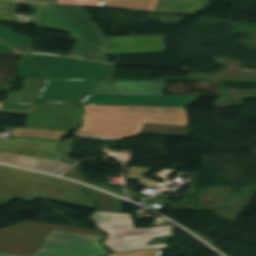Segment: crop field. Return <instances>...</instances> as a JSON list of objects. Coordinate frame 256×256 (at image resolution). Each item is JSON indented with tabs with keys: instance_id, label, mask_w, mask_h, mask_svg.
I'll return each instance as SVG.
<instances>
[{
	"instance_id": "4",
	"label": "crop field",
	"mask_w": 256,
	"mask_h": 256,
	"mask_svg": "<svg viewBox=\"0 0 256 256\" xmlns=\"http://www.w3.org/2000/svg\"><path fill=\"white\" fill-rule=\"evenodd\" d=\"M91 219L108 233L103 242L114 252L167 247L166 244L147 245L153 238L173 236L174 225L135 229L131 216L124 213L96 211Z\"/></svg>"
},
{
	"instance_id": "10",
	"label": "crop field",
	"mask_w": 256,
	"mask_h": 256,
	"mask_svg": "<svg viewBox=\"0 0 256 256\" xmlns=\"http://www.w3.org/2000/svg\"><path fill=\"white\" fill-rule=\"evenodd\" d=\"M107 55L166 52L165 35L110 38Z\"/></svg>"
},
{
	"instance_id": "24",
	"label": "crop field",
	"mask_w": 256,
	"mask_h": 256,
	"mask_svg": "<svg viewBox=\"0 0 256 256\" xmlns=\"http://www.w3.org/2000/svg\"><path fill=\"white\" fill-rule=\"evenodd\" d=\"M77 170H78V168L74 167L73 169H71L69 172H67L63 176L71 178V179H74V180H78V181L87 183V179H85L81 174H79L78 173L79 171L77 172Z\"/></svg>"
},
{
	"instance_id": "1",
	"label": "crop field",
	"mask_w": 256,
	"mask_h": 256,
	"mask_svg": "<svg viewBox=\"0 0 256 256\" xmlns=\"http://www.w3.org/2000/svg\"><path fill=\"white\" fill-rule=\"evenodd\" d=\"M102 238L103 233L96 230L25 221L0 230V252L24 256H100L108 253L99 244Z\"/></svg>"
},
{
	"instance_id": "25",
	"label": "crop field",
	"mask_w": 256,
	"mask_h": 256,
	"mask_svg": "<svg viewBox=\"0 0 256 256\" xmlns=\"http://www.w3.org/2000/svg\"><path fill=\"white\" fill-rule=\"evenodd\" d=\"M58 2H65V3H78V4H92L98 5L100 0H57Z\"/></svg>"
},
{
	"instance_id": "13",
	"label": "crop field",
	"mask_w": 256,
	"mask_h": 256,
	"mask_svg": "<svg viewBox=\"0 0 256 256\" xmlns=\"http://www.w3.org/2000/svg\"><path fill=\"white\" fill-rule=\"evenodd\" d=\"M47 79H23V89L8 92L3 103L34 104Z\"/></svg>"
},
{
	"instance_id": "11",
	"label": "crop field",
	"mask_w": 256,
	"mask_h": 256,
	"mask_svg": "<svg viewBox=\"0 0 256 256\" xmlns=\"http://www.w3.org/2000/svg\"><path fill=\"white\" fill-rule=\"evenodd\" d=\"M167 82L99 80L91 94L161 95Z\"/></svg>"
},
{
	"instance_id": "3",
	"label": "crop field",
	"mask_w": 256,
	"mask_h": 256,
	"mask_svg": "<svg viewBox=\"0 0 256 256\" xmlns=\"http://www.w3.org/2000/svg\"><path fill=\"white\" fill-rule=\"evenodd\" d=\"M37 26L72 32L79 40L71 56L108 62L103 52L109 42L81 7L48 3Z\"/></svg>"
},
{
	"instance_id": "29",
	"label": "crop field",
	"mask_w": 256,
	"mask_h": 256,
	"mask_svg": "<svg viewBox=\"0 0 256 256\" xmlns=\"http://www.w3.org/2000/svg\"><path fill=\"white\" fill-rule=\"evenodd\" d=\"M113 65L110 64V68L108 70L107 76L105 79H112Z\"/></svg>"
},
{
	"instance_id": "18",
	"label": "crop field",
	"mask_w": 256,
	"mask_h": 256,
	"mask_svg": "<svg viewBox=\"0 0 256 256\" xmlns=\"http://www.w3.org/2000/svg\"><path fill=\"white\" fill-rule=\"evenodd\" d=\"M67 131L15 128L12 137L59 140Z\"/></svg>"
},
{
	"instance_id": "27",
	"label": "crop field",
	"mask_w": 256,
	"mask_h": 256,
	"mask_svg": "<svg viewBox=\"0 0 256 256\" xmlns=\"http://www.w3.org/2000/svg\"><path fill=\"white\" fill-rule=\"evenodd\" d=\"M14 51H15V50H14L13 47L8 46V45H6V44L0 42V52L12 53V52H14Z\"/></svg>"
},
{
	"instance_id": "7",
	"label": "crop field",
	"mask_w": 256,
	"mask_h": 256,
	"mask_svg": "<svg viewBox=\"0 0 256 256\" xmlns=\"http://www.w3.org/2000/svg\"><path fill=\"white\" fill-rule=\"evenodd\" d=\"M85 111L147 115L146 123L187 126L184 108L84 105Z\"/></svg>"
},
{
	"instance_id": "5",
	"label": "crop field",
	"mask_w": 256,
	"mask_h": 256,
	"mask_svg": "<svg viewBox=\"0 0 256 256\" xmlns=\"http://www.w3.org/2000/svg\"><path fill=\"white\" fill-rule=\"evenodd\" d=\"M22 55L18 61L20 78L99 79L108 65L58 55Z\"/></svg>"
},
{
	"instance_id": "22",
	"label": "crop field",
	"mask_w": 256,
	"mask_h": 256,
	"mask_svg": "<svg viewBox=\"0 0 256 256\" xmlns=\"http://www.w3.org/2000/svg\"><path fill=\"white\" fill-rule=\"evenodd\" d=\"M71 164L70 162L61 163L40 159L35 169L57 174Z\"/></svg>"
},
{
	"instance_id": "14",
	"label": "crop field",
	"mask_w": 256,
	"mask_h": 256,
	"mask_svg": "<svg viewBox=\"0 0 256 256\" xmlns=\"http://www.w3.org/2000/svg\"><path fill=\"white\" fill-rule=\"evenodd\" d=\"M209 5V0H161L156 11L194 14Z\"/></svg>"
},
{
	"instance_id": "6",
	"label": "crop field",
	"mask_w": 256,
	"mask_h": 256,
	"mask_svg": "<svg viewBox=\"0 0 256 256\" xmlns=\"http://www.w3.org/2000/svg\"><path fill=\"white\" fill-rule=\"evenodd\" d=\"M145 117L85 112L74 136L121 140L140 134Z\"/></svg>"
},
{
	"instance_id": "17",
	"label": "crop field",
	"mask_w": 256,
	"mask_h": 256,
	"mask_svg": "<svg viewBox=\"0 0 256 256\" xmlns=\"http://www.w3.org/2000/svg\"><path fill=\"white\" fill-rule=\"evenodd\" d=\"M198 176H199V173L193 172L190 189H189L188 193L186 195H184L180 204L171 202V201H167V199L170 198V196L165 195V194H159L151 199L171 205L172 208L170 210H190L191 203H192V197H193L194 189L196 187V181L198 179Z\"/></svg>"
},
{
	"instance_id": "21",
	"label": "crop field",
	"mask_w": 256,
	"mask_h": 256,
	"mask_svg": "<svg viewBox=\"0 0 256 256\" xmlns=\"http://www.w3.org/2000/svg\"><path fill=\"white\" fill-rule=\"evenodd\" d=\"M39 159L0 153V162L34 169Z\"/></svg>"
},
{
	"instance_id": "31",
	"label": "crop field",
	"mask_w": 256,
	"mask_h": 256,
	"mask_svg": "<svg viewBox=\"0 0 256 256\" xmlns=\"http://www.w3.org/2000/svg\"><path fill=\"white\" fill-rule=\"evenodd\" d=\"M36 1H49V2H54V0H36Z\"/></svg>"
},
{
	"instance_id": "9",
	"label": "crop field",
	"mask_w": 256,
	"mask_h": 256,
	"mask_svg": "<svg viewBox=\"0 0 256 256\" xmlns=\"http://www.w3.org/2000/svg\"><path fill=\"white\" fill-rule=\"evenodd\" d=\"M97 80L48 79L37 102H76L85 97Z\"/></svg>"
},
{
	"instance_id": "2",
	"label": "crop field",
	"mask_w": 256,
	"mask_h": 256,
	"mask_svg": "<svg viewBox=\"0 0 256 256\" xmlns=\"http://www.w3.org/2000/svg\"><path fill=\"white\" fill-rule=\"evenodd\" d=\"M82 185L0 165V204L13 198L32 202L39 198L93 209L95 203L80 194Z\"/></svg>"
},
{
	"instance_id": "20",
	"label": "crop field",
	"mask_w": 256,
	"mask_h": 256,
	"mask_svg": "<svg viewBox=\"0 0 256 256\" xmlns=\"http://www.w3.org/2000/svg\"><path fill=\"white\" fill-rule=\"evenodd\" d=\"M0 41L23 51H34L29 38L14 34L7 28L0 26Z\"/></svg>"
},
{
	"instance_id": "26",
	"label": "crop field",
	"mask_w": 256,
	"mask_h": 256,
	"mask_svg": "<svg viewBox=\"0 0 256 256\" xmlns=\"http://www.w3.org/2000/svg\"><path fill=\"white\" fill-rule=\"evenodd\" d=\"M36 106H77L76 103H37Z\"/></svg>"
},
{
	"instance_id": "8",
	"label": "crop field",
	"mask_w": 256,
	"mask_h": 256,
	"mask_svg": "<svg viewBox=\"0 0 256 256\" xmlns=\"http://www.w3.org/2000/svg\"><path fill=\"white\" fill-rule=\"evenodd\" d=\"M199 98L183 96L89 95L79 103L185 107Z\"/></svg>"
},
{
	"instance_id": "28",
	"label": "crop field",
	"mask_w": 256,
	"mask_h": 256,
	"mask_svg": "<svg viewBox=\"0 0 256 256\" xmlns=\"http://www.w3.org/2000/svg\"><path fill=\"white\" fill-rule=\"evenodd\" d=\"M69 145H70V142H61L59 147H58V151L63 152V153H67Z\"/></svg>"
},
{
	"instance_id": "23",
	"label": "crop field",
	"mask_w": 256,
	"mask_h": 256,
	"mask_svg": "<svg viewBox=\"0 0 256 256\" xmlns=\"http://www.w3.org/2000/svg\"><path fill=\"white\" fill-rule=\"evenodd\" d=\"M160 249L113 253L109 256H159Z\"/></svg>"
},
{
	"instance_id": "15",
	"label": "crop field",
	"mask_w": 256,
	"mask_h": 256,
	"mask_svg": "<svg viewBox=\"0 0 256 256\" xmlns=\"http://www.w3.org/2000/svg\"><path fill=\"white\" fill-rule=\"evenodd\" d=\"M160 0H101L99 6L155 11Z\"/></svg>"
},
{
	"instance_id": "30",
	"label": "crop field",
	"mask_w": 256,
	"mask_h": 256,
	"mask_svg": "<svg viewBox=\"0 0 256 256\" xmlns=\"http://www.w3.org/2000/svg\"><path fill=\"white\" fill-rule=\"evenodd\" d=\"M0 256H16V255H9V254H1L0 253Z\"/></svg>"
},
{
	"instance_id": "19",
	"label": "crop field",
	"mask_w": 256,
	"mask_h": 256,
	"mask_svg": "<svg viewBox=\"0 0 256 256\" xmlns=\"http://www.w3.org/2000/svg\"><path fill=\"white\" fill-rule=\"evenodd\" d=\"M190 132L191 130L188 127L152 125L144 123L141 133L189 137Z\"/></svg>"
},
{
	"instance_id": "16",
	"label": "crop field",
	"mask_w": 256,
	"mask_h": 256,
	"mask_svg": "<svg viewBox=\"0 0 256 256\" xmlns=\"http://www.w3.org/2000/svg\"><path fill=\"white\" fill-rule=\"evenodd\" d=\"M83 191L98 202L97 210L121 212L122 200H119L120 198H114L90 187H85Z\"/></svg>"
},
{
	"instance_id": "12",
	"label": "crop field",
	"mask_w": 256,
	"mask_h": 256,
	"mask_svg": "<svg viewBox=\"0 0 256 256\" xmlns=\"http://www.w3.org/2000/svg\"><path fill=\"white\" fill-rule=\"evenodd\" d=\"M17 2L25 3L36 10L33 17L21 16L14 13ZM47 3L17 1V0H0V20L31 22L37 24Z\"/></svg>"
}]
</instances>
